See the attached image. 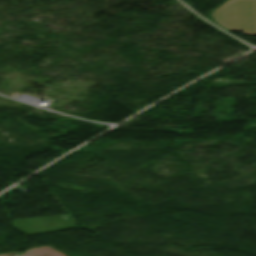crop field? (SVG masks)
I'll return each instance as SVG.
<instances>
[{"instance_id":"obj_1","label":"crop field","mask_w":256,"mask_h":256,"mask_svg":"<svg viewBox=\"0 0 256 256\" xmlns=\"http://www.w3.org/2000/svg\"><path fill=\"white\" fill-rule=\"evenodd\" d=\"M211 17L230 30L256 35V0H228Z\"/></svg>"}]
</instances>
